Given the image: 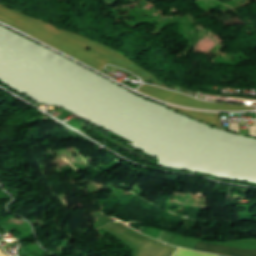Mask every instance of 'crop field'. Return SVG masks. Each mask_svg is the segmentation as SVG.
I'll use <instances>...</instances> for the list:
<instances>
[{
	"label": "crop field",
	"mask_w": 256,
	"mask_h": 256,
	"mask_svg": "<svg viewBox=\"0 0 256 256\" xmlns=\"http://www.w3.org/2000/svg\"><path fill=\"white\" fill-rule=\"evenodd\" d=\"M194 250L228 256H256V250H244L198 242Z\"/></svg>",
	"instance_id": "obj_1"
}]
</instances>
